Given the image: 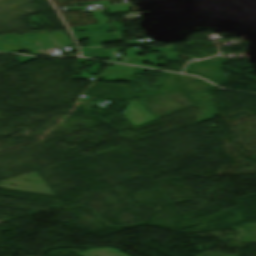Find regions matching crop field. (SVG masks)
Here are the masks:
<instances>
[{
  "instance_id": "obj_1",
  "label": "crop field",
  "mask_w": 256,
  "mask_h": 256,
  "mask_svg": "<svg viewBox=\"0 0 256 256\" xmlns=\"http://www.w3.org/2000/svg\"><path fill=\"white\" fill-rule=\"evenodd\" d=\"M140 53H143L142 49L128 51L127 56H128L129 61H124L123 63L144 66L141 64L144 63L145 60H149V63L154 64V65H161V64L166 63L165 61H169V60H165L167 58H170V60L175 61L171 52L148 54V55H146V58L136 56V54H140ZM161 57H166V58L157 59V58H161ZM157 60H161V61H157ZM145 67H149V66H145ZM151 68H154V67H151ZM157 69H159V68H157Z\"/></svg>"
},
{
  "instance_id": "obj_2",
  "label": "crop field",
  "mask_w": 256,
  "mask_h": 256,
  "mask_svg": "<svg viewBox=\"0 0 256 256\" xmlns=\"http://www.w3.org/2000/svg\"><path fill=\"white\" fill-rule=\"evenodd\" d=\"M127 111L123 114L134 126L156 119L141 104L129 103Z\"/></svg>"
},
{
  "instance_id": "obj_3",
  "label": "crop field",
  "mask_w": 256,
  "mask_h": 256,
  "mask_svg": "<svg viewBox=\"0 0 256 256\" xmlns=\"http://www.w3.org/2000/svg\"><path fill=\"white\" fill-rule=\"evenodd\" d=\"M101 76L106 81H131V67L114 64Z\"/></svg>"
},
{
  "instance_id": "obj_4",
  "label": "crop field",
  "mask_w": 256,
  "mask_h": 256,
  "mask_svg": "<svg viewBox=\"0 0 256 256\" xmlns=\"http://www.w3.org/2000/svg\"><path fill=\"white\" fill-rule=\"evenodd\" d=\"M117 50H123L122 48H117V49H106L107 51V57H112L111 51H117Z\"/></svg>"
},
{
  "instance_id": "obj_5",
  "label": "crop field",
  "mask_w": 256,
  "mask_h": 256,
  "mask_svg": "<svg viewBox=\"0 0 256 256\" xmlns=\"http://www.w3.org/2000/svg\"><path fill=\"white\" fill-rule=\"evenodd\" d=\"M67 36V35H66ZM69 39V38H68ZM69 41H70V39H69ZM71 42V41H70ZM72 43V42H71ZM73 45V44H72Z\"/></svg>"
}]
</instances>
